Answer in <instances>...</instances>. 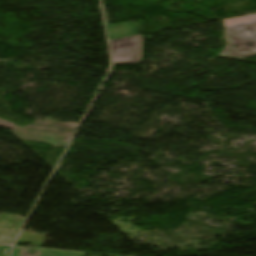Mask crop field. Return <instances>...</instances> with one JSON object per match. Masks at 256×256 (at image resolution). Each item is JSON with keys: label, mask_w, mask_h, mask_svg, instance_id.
I'll return each instance as SVG.
<instances>
[{"label": "crop field", "mask_w": 256, "mask_h": 256, "mask_svg": "<svg viewBox=\"0 0 256 256\" xmlns=\"http://www.w3.org/2000/svg\"><path fill=\"white\" fill-rule=\"evenodd\" d=\"M227 44L221 55L246 58L256 55V14L224 20Z\"/></svg>", "instance_id": "crop-field-1"}, {"label": "crop field", "mask_w": 256, "mask_h": 256, "mask_svg": "<svg viewBox=\"0 0 256 256\" xmlns=\"http://www.w3.org/2000/svg\"><path fill=\"white\" fill-rule=\"evenodd\" d=\"M114 63H138L141 57V35L110 41Z\"/></svg>", "instance_id": "crop-field-2"}, {"label": "crop field", "mask_w": 256, "mask_h": 256, "mask_svg": "<svg viewBox=\"0 0 256 256\" xmlns=\"http://www.w3.org/2000/svg\"><path fill=\"white\" fill-rule=\"evenodd\" d=\"M107 29L109 39L137 34L135 21L109 25Z\"/></svg>", "instance_id": "crop-field-3"}, {"label": "crop field", "mask_w": 256, "mask_h": 256, "mask_svg": "<svg viewBox=\"0 0 256 256\" xmlns=\"http://www.w3.org/2000/svg\"><path fill=\"white\" fill-rule=\"evenodd\" d=\"M19 248H14L12 256H18ZM42 256H86L85 253H72V252H58L42 250Z\"/></svg>", "instance_id": "crop-field-4"}, {"label": "crop field", "mask_w": 256, "mask_h": 256, "mask_svg": "<svg viewBox=\"0 0 256 256\" xmlns=\"http://www.w3.org/2000/svg\"><path fill=\"white\" fill-rule=\"evenodd\" d=\"M10 247L0 246V256H8Z\"/></svg>", "instance_id": "crop-field-5"}]
</instances>
